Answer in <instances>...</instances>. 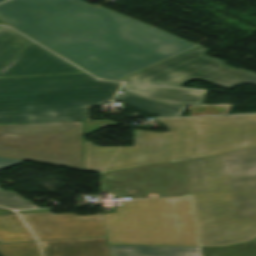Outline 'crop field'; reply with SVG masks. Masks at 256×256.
<instances>
[{"label": "crop field", "instance_id": "733c2abd", "mask_svg": "<svg viewBox=\"0 0 256 256\" xmlns=\"http://www.w3.org/2000/svg\"><path fill=\"white\" fill-rule=\"evenodd\" d=\"M20 163H22V161L0 158V170L16 166ZM0 190H1V188H0Z\"/></svg>", "mask_w": 256, "mask_h": 256}, {"label": "crop field", "instance_id": "bc2a9ffb", "mask_svg": "<svg viewBox=\"0 0 256 256\" xmlns=\"http://www.w3.org/2000/svg\"><path fill=\"white\" fill-rule=\"evenodd\" d=\"M20 214H28V213H43L49 212L48 209H41V210H29V211H18Z\"/></svg>", "mask_w": 256, "mask_h": 256}, {"label": "crop field", "instance_id": "dafd665d", "mask_svg": "<svg viewBox=\"0 0 256 256\" xmlns=\"http://www.w3.org/2000/svg\"><path fill=\"white\" fill-rule=\"evenodd\" d=\"M1 1H4V0H0V2H1Z\"/></svg>", "mask_w": 256, "mask_h": 256}, {"label": "crop field", "instance_id": "dd49c442", "mask_svg": "<svg viewBox=\"0 0 256 256\" xmlns=\"http://www.w3.org/2000/svg\"><path fill=\"white\" fill-rule=\"evenodd\" d=\"M207 52L198 47L119 81L180 87L201 80L228 90L241 83L256 85V74L224 66L225 62L205 56Z\"/></svg>", "mask_w": 256, "mask_h": 256}, {"label": "crop field", "instance_id": "d1516ede", "mask_svg": "<svg viewBox=\"0 0 256 256\" xmlns=\"http://www.w3.org/2000/svg\"><path fill=\"white\" fill-rule=\"evenodd\" d=\"M115 100L130 104L139 111L160 117L180 116L186 106H174L171 104L154 101L123 92L117 94Z\"/></svg>", "mask_w": 256, "mask_h": 256}, {"label": "crop field", "instance_id": "92a150f3", "mask_svg": "<svg viewBox=\"0 0 256 256\" xmlns=\"http://www.w3.org/2000/svg\"><path fill=\"white\" fill-rule=\"evenodd\" d=\"M188 195H190V194H186V196H188Z\"/></svg>", "mask_w": 256, "mask_h": 256}, {"label": "crop field", "instance_id": "5a996713", "mask_svg": "<svg viewBox=\"0 0 256 256\" xmlns=\"http://www.w3.org/2000/svg\"><path fill=\"white\" fill-rule=\"evenodd\" d=\"M111 256H256V242L224 248L109 245Z\"/></svg>", "mask_w": 256, "mask_h": 256}, {"label": "crop field", "instance_id": "f4fd0767", "mask_svg": "<svg viewBox=\"0 0 256 256\" xmlns=\"http://www.w3.org/2000/svg\"><path fill=\"white\" fill-rule=\"evenodd\" d=\"M83 122L0 126V157L83 170Z\"/></svg>", "mask_w": 256, "mask_h": 256}, {"label": "crop field", "instance_id": "214f88e0", "mask_svg": "<svg viewBox=\"0 0 256 256\" xmlns=\"http://www.w3.org/2000/svg\"><path fill=\"white\" fill-rule=\"evenodd\" d=\"M9 214H15V213L8 209L0 208V215H9Z\"/></svg>", "mask_w": 256, "mask_h": 256}, {"label": "crop field", "instance_id": "412701ff", "mask_svg": "<svg viewBox=\"0 0 256 256\" xmlns=\"http://www.w3.org/2000/svg\"><path fill=\"white\" fill-rule=\"evenodd\" d=\"M105 214L109 244L198 246L189 197L123 201Z\"/></svg>", "mask_w": 256, "mask_h": 256}, {"label": "crop field", "instance_id": "d9b57169", "mask_svg": "<svg viewBox=\"0 0 256 256\" xmlns=\"http://www.w3.org/2000/svg\"><path fill=\"white\" fill-rule=\"evenodd\" d=\"M0 206L11 209L38 208L14 191H0Z\"/></svg>", "mask_w": 256, "mask_h": 256}, {"label": "crop field", "instance_id": "22f410ed", "mask_svg": "<svg viewBox=\"0 0 256 256\" xmlns=\"http://www.w3.org/2000/svg\"><path fill=\"white\" fill-rule=\"evenodd\" d=\"M30 42L32 41L22 37L13 30L0 26V69Z\"/></svg>", "mask_w": 256, "mask_h": 256}, {"label": "crop field", "instance_id": "00972430", "mask_svg": "<svg viewBox=\"0 0 256 256\" xmlns=\"http://www.w3.org/2000/svg\"><path fill=\"white\" fill-rule=\"evenodd\" d=\"M254 241H256V239Z\"/></svg>", "mask_w": 256, "mask_h": 256}, {"label": "crop field", "instance_id": "28ad6ade", "mask_svg": "<svg viewBox=\"0 0 256 256\" xmlns=\"http://www.w3.org/2000/svg\"><path fill=\"white\" fill-rule=\"evenodd\" d=\"M121 91L175 105H202L204 91L124 84Z\"/></svg>", "mask_w": 256, "mask_h": 256}, {"label": "crop field", "instance_id": "3316defc", "mask_svg": "<svg viewBox=\"0 0 256 256\" xmlns=\"http://www.w3.org/2000/svg\"><path fill=\"white\" fill-rule=\"evenodd\" d=\"M44 256H110L106 238L40 241Z\"/></svg>", "mask_w": 256, "mask_h": 256}, {"label": "crop field", "instance_id": "e52e79f7", "mask_svg": "<svg viewBox=\"0 0 256 256\" xmlns=\"http://www.w3.org/2000/svg\"><path fill=\"white\" fill-rule=\"evenodd\" d=\"M22 217L39 240L107 236L103 215L43 213Z\"/></svg>", "mask_w": 256, "mask_h": 256}, {"label": "crop field", "instance_id": "34b2d1b8", "mask_svg": "<svg viewBox=\"0 0 256 256\" xmlns=\"http://www.w3.org/2000/svg\"><path fill=\"white\" fill-rule=\"evenodd\" d=\"M120 85L86 73L0 78V124L84 120Z\"/></svg>", "mask_w": 256, "mask_h": 256}, {"label": "crop field", "instance_id": "5142ce71", "mask_svg": "<svg viewBox=\"0 0 256 256\" xmlns=\"http://www.w3.org/2000/svg\"><path fill=\"white\" fill-rule=\"evenodd\" d=\"M1 256H40L36 242L0 244Z\"/></svg>", "mask_w": 256, "mask_h": 256}, {"label": "crop field", "instance_id": "d8731c3e", "mask_svg": "<svg viewBox=\"0 0 256 256\" xmlns=\"http://www.w3.org/2000/svg\"><path fill=\"white\" fill-rule=\"evenodd\" d=\"M78 72L83 71L32 42L0 70V77Z\"/></svg>", "mask_w": 256, "mask_h": 256}, {"label": "crop field", "instance_id": "ac0d7876", "mask_svg": "<svg viewBox=\"0 0 256 256\" xmlns=\"http://www.w3.org/2000/svg\"><path fill=\"white\" fill-rule=\"evenodd\" d=\"M0 20L101 79L198 47L82 0H11L0 5Z\"/></svg>", "mask_w": 256, "mask_h": 256}, {"label": "crop field", "instance_id": "4a817a6b", "mask_svg": "<svg viewBox=\"0 0 256 256\" xmlns=\"http://www.w3.org/2000/svg\"><path fill=\"white\" fill-rule=\"evenodd\" d=\"M241 123L256 121V115L235 116Z\"/></svg>", "mask_w": 256, "mask_h": 256}, {"label": "crop field", "instance_id": "8a807250", "mask_svg": "<svg viewBox=\"0 0 256 256\" xmlns=\"http://www.w3.org/2000/svg\"><path fill=\"white\" fill-rule=\"evenodd\" d=\"M170 132L135 130L134 147L85 139L84 170L105 173L109 198L192 194L200 246L256 238V122L234 116L158 119Z\"/></svg>", "mask_w": 256, "mask_h": 256}, {"label": "crop field", "instance_id": "cbeb9de0", "mask_svg": "<svg viewBox=\"0 0 256 256\" xmlns=\"http://www.w3.org/2000/svg\"><path fill=\"white\" fill-rule=\"evenodd\" d=\"M24 225L17 215L0 216V243L35 241Z\"/></svg>", "mask_w": 256, "mask_h": 256}]
</instances>
